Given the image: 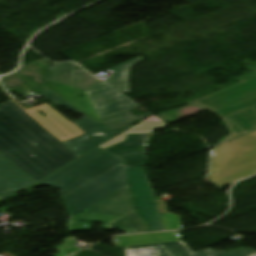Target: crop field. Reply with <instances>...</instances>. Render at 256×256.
Here are the masks:
<instances>
[{
  "instance_id": "8a807250",
  "label": "crop field",
  "mask_w": 256,
  "mask_h": 256,
  "mask_svg": "<svg viewBox=\"0 0 256 256\" xmlns=\"http://www.w3.org/2000/svg\"><path fill=\"white\" fill-rule=\"evenodd\" d=\"M0 154L37 182L78 157L13 101L0 105Z\"/></svg>"
},
{
  "instance_id": "ac0d7876",
  "label": "crop field",
  "mask_w": 256,
  "mask_h": 256,
  "mask_svg": "<svg viewBox=\"0 0 256 256\" xmlns=\"http://www.w3.org/2000/svg\"><path fill=\"white\" fill-rule=\"evenodd\" d=\"M250 69L254 72L238 78L241 82L190 102L208 108L224 120L231 119L246 131L225 120L222 123L231 134L218 140L221 144L256 130V66Z\"/></svg>"
},
{
  "instance_id": "34b2d1b8",
  "label": "crop field",
  "mask_w": 256,
  "mask_h": 256,
  "mask_svg": "<svg viewBox=\"0 0 256 256\" xmlns=\"http://www.w3.org/2000/svg\"><path fill=\"white\" fill-rule=\"evenodd\" d=\"M256 173V131L212 148L210 182L219 186Z\"/></svg>"
},
{
  "instance_id": "412701ff",
  "label": "crop field",
  "mask_w": 256,
  "mask_h": 256,
  "mask_svg": "<svg viewBox=\"0 0 256 256\" xmlns=\"http://www.w3.org/2000/svg\"><path fill=\"white\" fill-rule=\"evenodd\" d=\"M123 161L106 151L92 150L40 184L60 189L61 197L120 165Z\"/></svg>"
},
{
  "instance_id": "f4fd0767",
  "label": "crop field",
  "mask_w": 256,
  "mask_h": 256,
  "mask_svg": "<svg viewBox=\"0 0 256 256\" xmlns=\"http://www.w3.org/2000/svg\"><path fill=\"white\" fill-rule=\"evenodd\" d=\"M141 59L142 57L110 68L115 72L111 77L86 89L101 118L139 107L121 92L129 93V68Z\"/></svg>"
},
{
  "instance_id": "dd49c442",
  "label": "crop field",
  "mask_w": 256,
  "mask_h": 256,
  "mask_svg": "<svg viewBox=\"0 0 256 256\" xmlns=\"http://www.w3.org/2000/svg\"><path fill=\"white\" fill-rule=\"evenodd\" d=\"M125 186L127 177L124 166L120 165L63 197V202L71 218Z\"/></svg>"
},
{
  "instance_id": "e52e79f7",
  "label": "crop field",
  "mask_w": 256,
  "mask_h": 256,
  "mask_svg": "<svg viewBox=\"0 0 256 256\" xmlns=\"http://www.w3.org/2000/svg\"><path fill=\"white\" fill-rule=\"evenodd\" d=\"M83 213L123 216L107 226L124 229L126 233L148 231L135 209L128 186Z\"/></svg>"
},
{
  "instance_id": "d8731c3e",
  "label": "crop field",
  "mask_w": 256,
  "mask_h": 256,
  "mask_svg": "<svg viewBox=\"0 0 256 256\" xmlns=\"http://www.w3.org/2000/svg\"><path fill=\"white\" fill-rule=\"evenodd\" d=\"M42 97L57 105H61L72 112L80 113L84 116V119L80 122L76 121L77 123H75V125L86 134L63 142V144H65L74 154L80 156L117 135L44 87Z\"/></svg>"
},
{
  "instance_id": "5a996713",
  "label": "crop field",
  "mask_w": 256,
  "mask_h": 256,
  "mask_svg": "<svg viewBox=\"0 0 256 256\" xmlns=\"http://www.w3.org/2000/svg\"><path fill=\"white\" fill-rule=\"evenodd\" d=\"M132 183L137 206L152 231L165 230L152 189L141 168L125 167Z\"/></svg>"
},
{
  "instance_id": "3316defc",
  "label": "crop field",
  "mask_w": 256,
  "mask_h": 256,
  "mask_svg": "<svg viewBox=\"0 0 256 256\" xmlns=\"http://www.w3.org/2000/svg\"><path fill=\"white\" fill-rule=\"evenodd\" d=\"M1 91L11 98L17 105H19L27 114H29L33 119H35L42 127L49 131L61 142L71 139L73 137L84 134L80 129H78L74 124L66 120L57 111L51 108L49 105L45 104L32 109L26 110L22 105H20L14 98H12L1 86ZM37 110L45 113L44 118L40 115Z\"/></svg>"
},
{
  "instance_id": "28ad6ade",
  "label": "crop field",
  "mask_w": 256,
  "mask_h": 256,
  "mask_svg": "<svg viewBox=\"0 0 256 256\" xmlns=\"http://www.w3.org/2000/svg\"><path fill=\"white\" fill-rule=\"evenodd\" d=\"M37 182L0 155V198L5 199Z\"/></svg>"
},
{
  "instance_id": "d1516ede",
  "label": "crop field",
  "mask_w": 256,
  "mask_h": 256,
  "mask_svg": "<svg viewBox=\"0 0 256 256\" xmlns=\"http://www.w3.org/2000/svg\"><path fill=\"white\" fill-rule=\"evenodd\" d=\"M148 135H128L125 142L104 150H108L125 159L126 166H143L146 158L145 153L140 150V146L146 142Z\"/></svg>"
},
{
  "instance_id": "22f410ed",
  "label": "crop field",
  "mask_w": 256,
  "mask_h": 256,
  "mask_svg": "<svg viewBox=\"0 0 256 256\" xmlns=\"http://www.w3.org/2000/svg\"><path fill=\"white\" fill-rule=\"evenodd\" d=\"M44 87L52 90L65 101L75 106L88 116H90L95 121L101 123L96 111L94 110L91 102L89 101L86 93L82 89H78L75 87L67 86L61 83L49 82L46 81ZM80 94H83L84 97H78Z\"/></svg>"
},
{
  "instance_id": "cbeb9de0",
  "label": "crop field",
  "mask_w": 256,
  "mask_h": 256,
  "mask_svg": "<svg viewBox=\"0 0 256 256\" xmlns=\"http://www.w3.org/2000/svg\"><path fill=\"white\" fill-rule=\"evenodd\" d=\"M73 67V63L52 65L47 68V71H52V75H46V80L58 81L83 89H86L99 81L93 78L86 71L83 70L84 72H81L73 70ZM76 71L79 73L77 76H75ZM83 80H85V82H83Z\"/></svg>"
},
{
  "instance_id": "5142ce71",
  "label": "crop field",
  "mask_w": 256,
  "mask_h": 256,
  "mask_svg": "<svg viewBox=\"0 0 256 256\" xmlns=\"http://www.w3.org/2000/svg\"><path fill=\"white\" fill-rule=\"evenodd\" d=\"M162 245L166 249V251L169 253L170 256H250L256 253V251L254 250L242 248L235 252H227V253H223L213 249H206L204 251L194 254L182 241L164 243ZM152 246H157L159 250L162 252V254L158 256H166V254L161 250L158 244L131 246V247H126V249L152 247Z\"/></svg>"
},
{
  "instance_id": "d9b57169",
  "label": "crop field",
  "mask_w": 256,
  "mask_h": 256,
  "mask_svg": "<svg viewBox=\"0 0 256 256\" xmlns=\"http://www.w3.org/2000/svg\"><path fill=\"white\" fill-rule=\"evenodd\" d=\"M118 239H119V242L114 243L116 247L152 244V243H164V242L180 240L177 232L148 233V234L118 237Z\"/></svg>"
},
{
  "instance_id": "733c2abd",
  "label": "crop field",
  "mask_w": 256,
  "mask_h": 256,
  "mask_svg": "<svg viewBox=\"0 0 256 256\" xmlns=\"http://www.w3.org/2000/svg\"><path fill=\"white\" fill-rule=\"evenodd\" d=\"M166 123L158 118H156L155 116H150L149 118H147L146 120L140 122L138 125H136L135 127L127 130L126 132L116 136L115 138H113L112 140L106 142L105 144L99 146L98 148L104 149L107 148L109 146L118 144L120 142L125 141V138L128 134H137V133H150L153 131V129L156 128H162L165 127Z\"/></svg>"
},
{
  "instance_id": "4a817a6b",
  "label": "crop field",
  "mask_w": 256,
  "mask_h": 256,
  "mask_svg": "<svg viewBox=\"0 0 256 256\" xmlns=\"http://www.w3.org/2000/svg\"><path fill=\"white\" fill-rule=\"evenodd\" d=\"M150 115L152 114L146 113L141 116H136L131 115L129 111H127L106 118H102V121L105 124V126L119 134L122 131L126 130L127 128L133 126L131 124H133L135 120H142Z\"/></svg>"
},
{
  "instance_id": "bc2a9ffb",
  "label": "crop field",
  "mask_w": 256,
  "mask_h": 256,
  "mask_svg": "<svg viewBox=\"0 0 256 256\" xmlns=\"http://www.w3.org/2000/svg\"><path fill=\"white\" fill-rule=\"evenodd\" d=\"M161 217L166 230L181 229L182 225L177 215L167 213Z\"/></svg>"
},
{
  "instance_id": "214f88e0",
  "label": "crop field",
  "mask_w": 256,
  "mask_h": 256,
  "mask_svg": "<svg viewBox=\"0 0 256 256\" xmlns=\"http://www.w3.org/2000/svg\"><path fill=\"white\" fill-rule=\"evenodd\" d=\"M127 256H156L161 252L157 247L126 250Z\"/></svg>"
},
{
  "instance_id": "92a150f3",
  "label": "crop field",
  "mask_w": 256,
  "mask_h": 256,
  "mask_svg": "<svg viewBox=\"0 0 256 256\" xmlns=\"http://www.w3.org/2000/svg\"><path fill=\"white\" fill-rule=\"evenodd\" d=\"M159 245H160V247L163 249V251L166 252V251L164 250V248L161 246V244H159ZM166 254H167V252H166ZM167 256H169V255L167 254Z\"/></svg>"
},
{
  "instance_id": "dafd665d",
  "label": "crop field",
  "mask_w": 256,
  "mask_h": 256,
  "mask_svg": "<svg viewBox=\"0 0 256 256\" xmlns=\"http://www.w3.org/2000/svg\"><path fill=\"white\" fill-rule=\"evenodd\" d=\"M253 256H256V254H255V255H253Z\"/></svg>"
},
{
  "instance_id": "00972430",
  "label": "crop field",
  "mask_w": 256,
  "mask_h": 256,
  "mask_svg": "<svg viewBox=\"0 0 256 256\" xmlns=\"http://www.w3.org/2000/svg\"><path fill=\"white\" fill-rule=\"evenodd\" d=\"M73 256H76V254H75V255H73Z\"/></svg>"
}]
</instances>
